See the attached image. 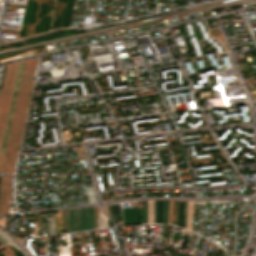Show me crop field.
Segmentation results:
<instances>
[{
    "label": "crop field",
    "mask_w": 256,
    "mask_h": 256,
    "mask_svg": "<svg viewBox=\"0 0 256 256\" xmlns=\"http://www.w3.org/2000/svg\"><path fill=\"white\" fill-rule=\"evenodd\" d=\"M34 230H37V226H36V215L34 216Z\"/></svg>",
    "instance_id": "crop-field-17"
},
{
    "label": "crop field",
    "mask_w": 256,
    "mask_h": 256,
    "mask_svg": "<svg viewBox=\"0 0 256 256\" xmlns=\"http://www.w3.org/2000/svg\"><path fill=\"white\" fill-rule=\"evenodd\" d=\"M172 200H169L168 223L171 224Z\"/></svg>",
    "instance_id": "crop-field-12"
},
{
    "label": "crop field",
    "mask_w": 256,
    "mask_h": 256,
    "mask_svg": "<svg viewBox=\"0 0 256 256\" xmlns=\"http://www.w3.org/2000/svg\"><path fill=\"white\" fill-rule=\"evenodd\" d=\"M22 63H23V61L20 62V67H19V71H18L16 83H15V89H14V94H13V98H12V102H11L9 118H8V122H7V126H6L5 136H4L3 145H2V150H1L2 154H4V149H5L6 139H7V135H8V130H9V125H10L13 105H14V101H15V96H16L17 86H18V82H19L20 72H21V68H22Z\"/></svg>",
    "instance_id": "crop-field-6"
},
{
    "label": "crop field",
    "mask_w": 256,
    "mask_h": 256,
    "mask_svg": "<svg viewBox=\"0 0 256 256\" xmlns=\"http://www.w3.org/2000/svg\"><path fill=\"white\" fill-rule=\"evenodd\" d=\"M6 248H7V250L3 251L4 256H14V251L7 246H6Z\"/></svg>",
    "instance_id": "crop-field-11"
},
{
    "label": "crop field",
    "mask_w": 256,
    "mask_h": 256,
    "mask_svg": "<svg viewBox=\"0 0 256 256\" xmlns=\"http://www.w3.org/2000/svg\"><path fill=\"white\" fill-rule=\"evenodd\" d=\"M35 61L27 60L23 63V68L21 72L20 82L18 86L15 106L13 110L9 135L7 139L6 149L4 158L7 162V165L12 173L15 155L18 147V141L22 129V123L24 118V112L26 108V104L28 101V96L31 87L32 76L35 67Z\"/></svg>",
    "instance_id": "crop-field-1"
},
{
    "label": "crop field",
    "mask_w": 256,
    "mask_h": 256,
    "mask_svg": "<svg viewBox=\"0 0 256 256\" xmlns=\"http://www.w3.org/2000/svg\"><path fill=\"white\" fill-rule=\"evenodd\" d=\"M9 180V181H7ZM11 178L3 177L0 185V215L7 212L8 199H12L11 196ZM7 196V197H5Z\"/></svg>",
    "instance_id": "crop-field-5"
},
{
    "label": "crop field",
    "mask_w": 256,
    "mask_h": 256,
    "mask_svg": "<svg viewBox=\"0 0 256 256\" xmlns=\"http://www.w3.org/2000/svg\"><path fill=\"white\" fill-rule=\"evenodd\" d=\"M52 215H53V214H49V215H45V216H47L48 218H50ZM47 217H46V218H47Z\"/></svg>",
    "instance_id": "crop-field-18"
},
{
    "label": "crop field",
    "mask_w": 256,
    "mask_h": 256,
    "mask_svg": "<svg viewBox=\"0 0 256 256\" xmlns=\"http://www.w3.org/2000/svg\"><path fill=\"white\" fill-rule=\"evenodd\" d=\"M18 63L7 65L3 77L2 87L0 91V149L3 140L4 130L6 126L9 106L12 98L14 83L16 79ZM0 172L9 173V170L0 155Z\"/></svg>",
    "instance_id": "crop-field-2"
},
{
    "label": "crop field",
    "mask_w": 256,
    "mask_h": 256,
    "mask_svg": "<svg viewBox=\"0 0 256 256\" xmlns=\"http://www.w3.org/2000/svg\"><path fill=\"white\" fill-rule=\"evenodd\" d=\"M141 223H146V201L144 204V209H141Z\"/></svg>",
    "instance_id": "crop-field-10"
},
{
    "label": "crop field",
    "mask_w": 256,
    "mask_h": 256,
    "mask_svg": "<svg viewBox=\"0 0 256 256\" xmlns=\"http://www.w3.org/2000/svg\"><path fill=\"white\" fill-rule=\"evenodd\" d=\"M161 201H158V223H160Z\"/></svg>",
    "instance_id": "crop-field-14"
},
{
    "label": "crop field",
    "mask_w": 256,
    "mask_h": 256,
    "mask_svg": "<svg viewBox=\"0 0 256 256\" xmlns=\"http://www.w3.org/2000/svg\"><path fill=\"white\" fill-rule=\"evenodd\" d=\"M154 223H157V200H155Z\"/></svg>",
    "instance_id": "crop-field-13"
},
{
    "label": "crop field",
    "mask_w": 256,
    "mask_h": 256,
    "mask_svg": "<svg viewBox=\"0 0 256 256\" xmlns=\"http://www.w3.org/2000/svg\"><path fill=\"white\" fill-rule=\"evenodd\" d=\"M178 204H179V201H176V225H177V216H178Z\"/></svg>",
    "instance_id": "crop-field-16"
},
{
    "label": "crop field",
    "mask_w": 256,
    "mask_h": 256,
    "mask_svg": "<svg viewBox=\"0 0 256 256\" xmlns=\"http://www.w3.org/2000/svg\"><path fill=\"white\" fill-rule=\"evenodd\" d=\"M154 201H147V223H153Z\"/></svg>",
    "instance_id": "crop-field-8"
},
{
    "label": "crop field",
    "mask_w": 256,
    "mask_h": 256,
    "mask_svg": "<svg viewBox=\"0 0 256 256\" xmlns=\"http://www.w3.org/2000/svg\"><path fill=\"white\" fill-rule=\"evenodd\" d=\"M185 216H186V202L184 207V219H183V227L185 228Z\"/></svg>",
    "instance_id": "crop-field-15"
},
{
    "label": "crop field",
    "mask_w": 256,
    "mask_h": 256,
    "mask_svg": "<svg viewBox=\"0 0 256 256\" xmlns=\"http://www.w3.org/2000/svg\"><path fill=\"white\" fill-rule=\"evenodd\" d=\"M61 220H62V229H66V232H69V223H68V209L61 211ZM61 220L60 212L55 215V224H56V234L61 233ZM49 234H55V225L54 217L48 222Z\"/></svg>",
    "instance_id": "crop-field-4"
},
{
    "label": "crop field",
    "mask_w": 256,
    "mask_h": 256,
    "mask_svg": "<svg viewBox=\"0 0 256 256\" xmlns=\"http://www.w3.org/2000/svg\"><path fill=\"white\" fill-rule=\"evenodd\" d=\"M168 200H162L161 223L167 224Z\"/></svg>",
    "instance_id": "crop-field-9"
},
{
    "label": "crop field",
    "mask_w": 256,
    "mask_h": 256,
    "mask_svg": "<svg viewBox=\"0 0 256 256\" xmlns=\"http://www.w3.org/2000/svg\"><path fill=\"white\" fill-rule=\"evenodd\" d=\"M193 202L187 203L186 228L192 230Z\"/></svg>",
    "instance_id": "crop-field-7"
},
{
    "label": "crop field",
    "mask_w": 256,
    "mask_h": 256,
    "mask_svg": "<svg viewBox=\"0 0 256 256\" xmlns=\"http://www.w3.org/2000/svg\"><path fill=\"white\" fill-rule=\"evenodd\" d=\"M70 232L76 231L75 208L69 209ZM79 231L93 229V207L78 208Z\"/></svg>",
    "instance_id": "crop-field-3"
}]
</instances>
